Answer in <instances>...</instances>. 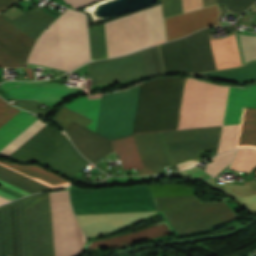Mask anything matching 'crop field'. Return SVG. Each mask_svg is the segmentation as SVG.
Returning <instances> with one entry per match:
<instances>
[{"mask_svg":"<svg viewBox=\"0 0 256 256\" xmlns=\"http://www.w3.org/2000/svg\"><path fill=\"white\" fill-rule=\"evenodd\" d=\"M179 174L192 175V179L199 180V181H204L208 178H211V176H209L207 173H205L203 170H201L197 166L191 168L190 170L179 172ZM172 176H173V174L164 176V177H172Z\"/></svg>","mask_w":256,"mask_h":256,"instance_id":"36","label":"crop field"},{"mask_svg":"<svg viewBox=\"0 0 256 256\" xmlns=\"http://www.w3.org/2000/svg\"><path fill=\"white\" fill-rule=\"evenodd\" d=\"M255 6H256V4H255Z\"/></svg>","mask_w":256,"mask_h":256,"instance_id":"44","label":"crop field"},{"mask_svg":"<svg viewBox=\"0 0 256 256\" xmlns=\"http://www.w3.org/2000/svg\"><path fill=\"white\" fill-rule=\"evenodd\" d=\"M163 18L182 14L181 0H162Z\"/></svg>","mask_w":256,"mask_h":256,"instance_id":"33","label":"crop field"},{"mask_svg":"<svg viewBox=\"0 0 256 256\" xmlns=\"http://www.w3.org/2000/svg\"><path fill=\"white\" fill-rule=\"evenodd\" d=\"M24 69H25V71H26V73H27L29 79L34 78L33 72H32V69H31V68H24Z\"/></svg>","mask_w":256,"mask_h":256,"instance_id":"42","label":"crop field"},{"mask_svg":"<svg viewBox=\"0 0 256 256\" xmlns=\"http://www.w3.org/2000/svg\"><path fill=\"white\" fill-rule=\"evenodd\" d=\"M204 7L215 5L216 0H203ZM202 0H183L184 13L203 7Z\"/></svg>","mask_w":256,"mask_h":256,"instance_id":"35","label":"crop field"},{"mask_svg":"<svg viewBox=\"0 0 256 256\" xmlns=\"http://www.w3.org/2000/svg\"><path fill=\"white\" fill-rule=\"evenodd\" d=\"M255 41H256V37H255Z\"/></svg>","mask_w":256,"mask_h":256,"instance_id":"43","label":"crop field"},{"mask_svg":"<svg viewBox=\"0 0 256 256\" xmlns=\"http://www.w3.org/2000/svg\"><path fill=\"white\" fill-rule=\"evenodd\" d=\"M215 9H217L216 6L200 9L197 11L167 18L166 22L191 16V15H195V14H199V13H203V12H207V11H211V10H215ZM217 25H218L217 10L192 16V17H188V18H184V19H180V20H176V21H172V22H168L166 23L168 41L191 34L201 28L217 26Z\"/></svg>","mask_w":256,"mask_h":256,"instance_id":"14","label":"crop field"},{"mask_svg":"<svg viewBox=\"0 0 256 256\" xmlns=\"http://www.w3.org/2000/svg\"><path fill=\"white\" fill-rule=\"evenodd\" d=\"M150 46L165 42L161 4L146 10Z\"/></svg>","mask_w":256,"mask_h":256,"instance_id":"24","label":"crop field"},{"mask_svg":"<svg viewBox=\"0 0 256 256\" xmlns=\"http://www.w3.org/2000/svg\"><path fill=\"white\" fill-rule=\"evenodd\" d=\"M65 131L80 153L93 163L114 150L123 169L143 168L132 136L109 141L73 121Z\"/></svg>","mask_w":256,"mask_h":256,"instance_id":"6","label":"crop field"},{"mask_svg":"<svg viewBox=\"0 0 256 256\" xmlns=\"http://www.w3.org/2000/svg\"><path fill=\"white\" fill-rule=\"evenodd\" d=\"M239 36V41L243 53L244 63L256 59V46L253 37L249 36Z\"/></svg>","mask_w":256,"mask_h":256,"instance_id":"32","label":"crop field"},{"mask_svg":"<svg viewBox=\"0 0 256 256\" xmlns=\"http://www.w3.org/2000/svg\"><path fill=\"white\" fill-rule=\"evenodd\" d=\"M0 184H3V185H5V186H7V187H9V188H11V189H13V190H15V191L21 193V194H23V195L29 194V193H26V192H24V191H22V190H20V189H17V188H15V187H13V186H11V185H9V184H6V183H4V182H2V181H0ZM14 198H16V197H14V196H12V195H10V194H7V193H5V192H3V191L0 190V204L6 202V201H8V200L14 199Z\"/></svg>","mask_w":256,"mask_h":256,"instance_id":"38","label":"crop field"},{"mask_svg":"<svg viewBox=\"0 0 256 256\" xmlns=\"http://www.w3.org/2000/svg\"><path fill=\"white\" fill-rule=\"evenodd\" d=\"M193 72L213 71L214 63L207 30L185 37Z\"/></svg>","mask_w":256,"mask_h":256,"instance_id":"16","label":"crop field"},{"mask_svg":"<svg viewBox=\"0 0 256 256\" xmlns=\"http://www.w3.org/2000/svg\"><path fill=\"white\" fill-rule=\"evenodd\" d=\"M14 105H16V106H18V107H20V108H22V109L28 110V111H30V112H33V113L42 115V116H45V115L47 114V111L37 109L38 102H33V101H18V102L15 103Z\"/></svg>","mask_w":256,"mask_h":256,"instance_id":"37","label":"crop field"},{"mask_svg":"<svg viewBox=\"0 0 256 256\" xmlns=\"http://www.w3.org/2000/svg\"><path fill=\"white\" fill-rule=\"evenodd\" d=\"M73 147L69 141L49 159H47L46 162L51 163L56 168L70 176L79 172L89 164V162H87Z\"/></svg>","mask_w":256,"mask_h":256,"instance_id":"20","label":"crop field"},{"mask_svg":"<svg viewBox=\"0 0 256 256\" xmlns=\"http://www.w3.org/2000/svg\"><path fill=\"white\" fill-rule=\"evenodd\" d=\"M215 182H216L215 180L210 179V180H208V181H206L204 183H206V184H208V185H210V186H212V187H214L216 189H219V190H222V191L226 192L224 187L216 185Z\"/></svg>","mask_w":256,"mask_h":256,"instance_id":"41","label":"crop field"},{"mask_svg":"<svg viewBox=\"0 0 256 256\" xmlns=\"http://www.w3.org/2000/svg\"><path fill=\"white\" fill-rule=\"evenodd\" d=\"M108 58L148 47L145 10L105 23Z\"/></svg>","mask_w":256,"mask_h":256,"instance_id":"8","label":"crop field"},{"mask_svg":"<svg viewBox=\"0 0 256 256\" xmlns=\"http://www.w3.org/2000/svg\"><path fill=\"white\" fill-rule=\"evenodd\" d=\"M205 76L237 82H248L256 80V61L250 62L243 67L213 71L203 74Z\"/></svg>","mask_w":256,"mask_h":256,"instance_id":"22","label":"crop field"},{"mask_svg":"<svg viewBox=\"0 0 256 256\" xmlns=\"http://www.w3.org/2000/svg\"><path fill=\"white\" fill-rule=\"evenodd\" d=\"M166 74L192 72L184 38L159 45Z\"/></svg>","mask_w":256,"mask_h":256,"instance_id":"17","label":"crop field"},{"mask_svg":"<svg viewBox=\"0 0 256 256\" xmlns=\"http://www.w3.org/2000/svg\"><path fill=\"white\" fill-rule=\"evenodd\" d=\"M225 186L232 197L256 214V191H250L251 182H245L244 185L225 184Z\"/></svg>","mask_w":256,"mask_h":256,"instance_id":"25","label":"crop field"},{"mask_svg":"<svg viewBox=\"0 0 256 256\" xmlns=\"http://www.w3.org/2000/svg\"><path fill=\"white\" fill-rule=\"evenodd\" d=\"M89 35L92 60L107 58L103 24L90 28Z\"/></svg>","mask_w":256,"mask_h":256,"instance_id":"28","label":"crop field"},{"mask_svg":"<svg viewBox=\"0 0 256 256\" xmlns=\"http://www.w3.org/2000/svg\"><path fill=\"white\" fill-rule=\"evenodd\" d=\"M140 85L107 95L80 96L64 107L93 120L86 128L112 140L132 135ZM232 88L195 79L141 85L133 137L144 168L168 167L158 132L223 124ZM243 107H256V85L233 88L223 125L239 124Z\"/></svg>","mask_w":256,"mask_h":256,"instance_id":"1","label":"crop field"},{"mask_svg":"<svg viewBox=\"0 0 256 256\" xmlns=\"http://www.w3.org/2000/svg\"><path fill=\"white\" fill-rule=\"evenodd\" d=\"M0 164L44 183L52 188L65 187L71 183L37 165H17L11 162L0 160Z\"/></svg>","mask_w":256,"mask_h":256,"instance_id":"21","label":"crop field"},{"mask_svg":"<svg viewBox=\"0 0 256 256\" xmlns=\"http://www.w3.org/2000/svg\"><path fill=\"white\" fill-rule=\"evenodd\" d=\"M172 233L171 229L165 222L158 223L144 230L116 236L113 238L93 241L87 244L86 249H94L98 247L119 246L135 243L144 239L154 238L165 234Z\"/></svg>","mask_w":256,"mask_h":256,"instance_id":"18","label":"crop field"},{"mask_svg":"<svg viewBox=\"0 0 256 256\" xmlns=\"http://www.w3.org/2000/svg\"><path fill=\"white\" fill-rule=\"evenodd\" d=\"M47 124L39 119L0 151V157L7 158Z\"/></svg>","mask_w":256,"mask_h":256,"instance_id":"26","label":"crop field"},{"mask_svg":"<svg viewBox=\"0 0 256 256\" xmlns=\"http://www.w3.org/2000/svg\"><path fill=\"white\" fill-rule=\"evenodd\" d=\"M155 196L194 195L181 185L153 186ZM152 186L85 191L69 187L75 215L162 211L179 235L219 226L238 219L224 203L200 204L196 196L156 197ZM158 211L77 216L86 237L106 234ZM173 228V229H174ZM176 232V233H177Z\"/></svg>","mask_w":256,"mask_h":256,"instance_id":"2","label":"crop field"},{"mask_svg":"<svg viewBox=\"0 0 256 256\" xmlns=\"http://www.w3.org/2000/svg\"><path fill=\"white\" fill-rule=\"evenodd\" d=\"M256 0H217V4L225 3L228 10L242 13Z\"/></svg>","mask_w":256,"mask_h":256,"instance_id":"34","label":"crop field"},{"mask_svg":"<svg viewBox=\"0 0 256 256\" xmlns=\"http://www.w3.org/2000/svg\"><path fill=\"white\" fill-rule=\"evenodd\" d=\"M141 52L145 71L148 76L164 73L158 45L142 50Z\"/></svg>","mask_w":256,"mask_h":256,"instance_id":"27","label":"crop field"},{"mask_svg":"<svg viewBox=\"0 0 256 256\" xmlns=\"http://www.w3.org/2000/svg\"><path fill=\"white\" fill-rule=\"evenodd\" d=\"M48 28L28 63L71 71L90 61L85 14L67 9Z\"/></svg>","mask_w":256,"mask_h":256,"instance_id":"4","label":"crop field"},{"mask_svg":"<svg viewBox=\"0 0 256 256\" xmlns=\"http://www.w3.org/2000/svg\"><path fill=\"white\" fill-rule=\"evenodd\" d=\"M67 3H70L74 8L79 7L81 5L87 4L89 2L95 0H65Z\"/></svg>","mask_w":256,"mask_h":256,"instance_id":"39","label":"crop field"},{"mask_svg":"<svg viewBox=\"0 0 256 256\" xmlns=\"http://www.w3.org/2000/svg\"><path fill=\"white\" fill-rule=\"evenodd\" d=\"M91 85L120 82L145 77L140 51L110 60H99L88 63Z\"/></svg>","mask_w":256,"mask_h":256,"instance_id":"10","label":"crop field"},{"mask_svg":"<svg viewBox=\"0 0 256 256\" xmlns=\"http://www.w3.org/2000/svg\"><path fill=\"white\" fill-rule=\"evenodd\" d=\"M0 179L30 193L51 189L50 187L41 184L33 179L21 175L13 170H10L0 165Z\"/></svg>","mask_w":256,"mask_h":256,"instance_id":"23","label":"crop field"},{"mask_svg":"<svg viewBox=\"0 0 256 256\" xmlns=\"http://www.w3.org/2000/svg\"><path fill=\"white\" fill-rule=\"evenodd\" d=\"M68 141L65 135L47 125L8 159L42 163Z\"/></svg>","mask_w":256,"mask_h":256,"instance_id":"11","label":"crop field"},{"mask_svg":"<svg viewBox=\"0 0 256 256\" xmlns=\"http://www.w3.org/2000/svg\"><path fill=\"white\" fill-rule=\"evenodd\" d=\"M256 165V151L251 149L238 150L229 169L249 173Z\"/></svg>","mask_w":256,"mask_h":256,"instance_id":"29","label":"crop field"},{"mask_svg":"<svg viewBox=\"0 0 256 256\" xmlns=\"http://www.w3.org/2000/svg\"><path fill=\"white\" fill-rule=\"evenodd\" d=\"M19 110L9 106V104L0 98V127L12 118ZM35 118L19 112L5 125L0 128V150L4 148L9 142L23 132L30 126Z\"/></svg>","mask_w":256,"mask_h":256,"instance_id":"15","label":"crop field"},{"mask_svg":"<svg viewBox=\"0 0 256 256\" xmlns=\"http://www.w3.org/2000/svg\"><path fill=\"white\" fill-rule=\"evenodd\" d=\"M55 19L38 6L13 21L0 14V66H25L35 39Z\"/></svg>","mask_w":256,"mask_h":256,"instance_id":"5","label":"crop field"},{"mask_svg":"<svg viewBox=\"0 0 256 256\" xmlns=\"http://www.w3.org/2000/svg\"><path fill=\"white\" fill-rule=\"evenodd\" d=\"M2 88L17 100H40L57 103L80 88L64 87L41 82H5Z\"/></svg>","mask_w":256,"mask_h":256,"instance_id":"12","label":"crop field"},{"mask_svg":"<svg viewBox=\"0 0 256 256\" xmlns=\"http://www.w3.org/2000/svg\"><path fill=\"white\" fill-rule=\"evenodd\" d=\"M1 13V12H0Z\"/></svg>","mask_w":256,"mask_h":256,"instance_id":"45","label":"crop field"},{"mask_svg":"<svg viewBox=\"0 0 256 256\" xmlns=\"http://www.w3.org/2000/svg\"><path fill=\"white\" fill-rule=\"evenodd\" d=\"M216 70L240 66V57L234 34L210 40Z\"/></svg>","mask_w":256,"mask_h":256,"instance_id":"19","label":"crop field"},{"mask_svg":"<svg viewBox=\"0 0 256 256\" xmlns=\"http://www.w3.org/2000/svg\"><path fill=\"white\" fill-rule=\"evenodd\" d=\"M221 127L159 133L173 172L178 170L175 164L200 161L199 152L217 147Z\"/></svg>","mask_w":256,"mask_h":256,"instance_id":"7","label":"crop field"},{"mask_svg":"<svg viewBox=\"0 0 256 256\" xmlns=\"http://www.w3.org/2000/svg\"><path fill=\"white\" fill-rule=\"evenodd\" d=\"M243 147L256 149V109L244 108L240 125L222 128L218 153Z\"/></svg>","mask_w":256,"mask_h":256,"instance_id":"13","label":"crop field"},{"mask_svg":"<svg viewBox=\"0 0 256 256\" xmlns=\"http://www.w3.org/2000/svg\"><path fill=\"white\" fill-rule=\"evenodd\" d=\"M51 120H54L57 122L60 126H62L64 129L68 126V124L73 120L83 126H87L91 120L69 110L64 107L59 109L55 115L51 118Z\"/></svg>","mask_w":256,"mask_h":256,"instance_id":"30","label":"crop field"},{"mask_svg":"<svg viewBox=\"0 0 256 256\" xmlns=\"http://www.w3.org/2000/svg\"><path fill=\"white\" fill-rule=\"evenodd\" d=\"M18 0H0V11H4Z\"/></svg>","mask_w":256,"mask_h":256,"instance_id":"40","label":"crop field"},{"mask_svg":"<svg viewBox=\"0 0 256 256\" xmlns=\"http://www.w3.org/2000/svg\"><path fill=\"white\" fill-rule=\"evenodd\" d=\"M0 256H28L23 198L0 207Z\"/></svg>","mask_w":256,"mask_h":256,"instance_id":"9","label":"crop field"},{"mask_svg":"<svg viewBox=\"0 0 256 256\" xmlns=\"http://www.w3.org/2000/svg\"><path fill=\"white\" fill-rule=\"evenodd\" d=\"M55 256H74L86 241L68 191L50 193ZM29 256H54L49 192L24 198Z\"/></svg>","mask_w":256,"mask_h":256,"instance_id":"3","label":"crop field"},{"mask_svg":"<svg viewBox=\"0 0 256 256\" xmlns=\"http://www.w3.org/2000/svg\"><path fill=\"white\" fill-rule=\"evenodd\" d=\"M235 152L236 150L228 151L211 159L212 161L207 163L204 171L212 177L217 176L224 167L230 164Z\"/></svg>","mask_w":256,"mask_h":256,"instance_id":"31","label":"crop field"}]
</instances>
